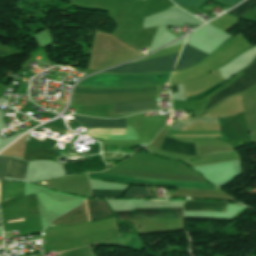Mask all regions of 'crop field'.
Returning <instances> with one entry per match:
<instances>
[{
    "instance_id": "obj_11",
    "label": "crop field",
    "mask_w": 256,
    "mask_h": 256,
    "mask_svg": "<svg viewBox=\"0 0 256 256\" xmlns=\"http://www.w3.org/2000/svg\"><path fill=\"white\" fill-rule=\"evenodd\" d=\"M225 207L226 203L220 202L187 201L184 203V210L225 211Z\"/></svg>"
},
{
    "instance_id": "obj_21",
    "label": "crop field",
    "mask_w": 256,
    "mask_h": 256,
    "mask_svg": "<svg viewBox=\"0 0 256 256\" xmlns=\"http://www.w3.org/2000/svg\"><path fill=\"white\" fill-rule=\"evenodd\" d=\"M21 218H23V217H20V218H14V219H8V220H6V221H9V220H15V219H21Z\"/></svg>"
},
{
    "instance_id": "obj_4",
    "label": "crop field",
    "mask_w": 256,
    "mask_h": 256,
    "mask_svg": "<svg viewBox=\"0 0 256 256\" xmlns=\"http://www.w3.org/2000/svg\"><path fill=\"white\" fill-rule=\"evenodd\" d=\"M8 159V157L0 156V179H4ZM27 164L26 161L10 158L5 176L24 179Z\"/></svg>"
},
{
    "instance_id": "obj_22",
    "label": "crop field",
    "mask_w": 256,
    "mask_h": 256,
    "mask_svg": "<svg viewBox=\"0 0 256 256\" xmlns=\"http://www.w3.org/2000/svg\"><path fill=\"white\" fill-rule=\"evenodd\" d=\"M19 221H22V220H19ZM11 222H16V221H11ZM7 223H10V222H7Z\"/></svg>"
},
{
    "instance_id": "obj_6",
    "label": "crop field",
    "mask_w": 256,
    "mask_h": 256,
    "mask_svg": "<svg viewBox=\"0 0 256 256\" xmlns=\"http://www.w3.org/2000/svg\"><path fill=\"white\" fill-rule=\"evenodd\" d=\"M205 56L207 54L185 44L174 69L178 70L194 65Z\"/></svg>"
},
{
    "instance_id": "obj_20",
    "label": "crop field",
    "mask_w": 256,
    "mask_h": 256,
    "mask_svg": "<svg viewBox=\"0 0 256 256\" xmlns=\"http://www.w3.org/2000/svg\"><path fill=\"white\" fill-rule=\"evenodd\" d=\"M151 193L148 188H137L133 187L131 190H129L126 197H150Z\"/></svg>"
},
{
    "instance_id": "obj_17",
    "label": "crop field",
    "mask_w": 256,
    "mask_h": 256,
    "mask_svg": "<svg viewBox=\"0 0 256 256\" xmlns=\"http://www.w3.org/2000/svg\"><path fill=\"white\" fill-rule=\"evenodd\" d=\"M172 1L177 5L198 8L204 0H172ZM216 1L232 7L242 0H216Z\"/></svg>"
},
{
    "instance_id": "obj_2",
    "label": "crop field",
    "mask_w": 256,
    "mask_h": 256,
    "mask_svg": "<svg viewBox=\"0 0 256 256\" xmlns=\"http://www.w3.org/2000/svg\"><path fill=\"white\" fill-rule=\"evenodd\" d=\"M178 55L121 65L106 72L148 73L171 70Z\"/></svg>"
},
{
    "instance_id": "obj_12",
    "label": "crop field",
    "mask_w": 256,
    "mask_h": 256,
    "mask_svg": "<svg viewBox=\"0 0 256 256\" xmlns=\"http://www.w3.org/2000/svg\"><path fill=\"white\" fill-rule=\"evenodd\" d=\"M24 183H13L1 181V199L8 200L23 195Z\"/></svg>"
},
{
    "instance_id": "obj_9",
    "label": "crop field",
    "mask_w": 256,
    "mask_h": 256,
    "mask_svg": "<svg viewBox=\"0 0 256 256\" xmlns=\"http://www.w3.org/2000/svg\"><path fill=\"white\" fill-rule=\"evenodd\" d=\"M87 202H88L91 221L95 219L103 218L105 216H108L111 213L107 205L105 204L104 200H87ZM87 202H86V208H87ZM88 208H87V213H88ZM89 213H88V219H89Z\"/></svg>"
},
{
    "instance_id": "obj_5",
    "label": "crop field",
    "mask_w": 256,
    "mask_h": 256,
    "mask_svg": "<svg viewBox=\"0 0 256 256\" xmlns=\"http://www.w3.org/2000/svg\"><path fill=\"white\" fill-rule=\"evenodd\" d=\"M158 149L194 157L195 144L180 142L164 137Z\"/></svg>"
},
{
    "instance_id": "obj_15",
    "label": "crop field",
    "mask_w": 256,
    "mask_h": 256,
    "mask_svg": "<svg viewBox=\"0 0 256 256\" xmlns=\"http://www.w3.org/2000/svg\"><path fill=\"white\" fill-rule=\"evenodd\" d=\"M88 176L102 178V179L126 181V182L157 184V180H153V179L136 178V177H128V176H120V175L103 174V173H89Z\"/></svg>"
},
{
    "instance_id": "obj_19",
    "label": "crop field",
    "mask_w": 256,
    "mask_h": 256,
    "mask_svg": "<svg viewBox=\"0 0 256 256\" xmlns=\"http://www.w3.org/2000/svg\"><path fill=\"white\" fill-rule=\"evenodd\" d=\"M125 191L92 190L91 197H120Z\"/></svg>"
},
{
    "instance_id": "obj_13",
    "label": "crop field",
    "mask_w": 256,
    "mask_h": 256,
    "mask_svg": "<svg viewBox=\"0 0 256 256\" xmlns=\"http://www.w3.org/2000/svg\"><path fill=\"white\" fill-rule=\"evenodd\" d=\"M147 91H157V86L144 87V88H131V89H112V90L89 89V88H82V87L74 88V92H78V93H129V92H147Z\"/></svg>"
},
{
    "instance_id": "obj_7",
    "label": "crop field",
    "mask_w": 256,
    "mask_h": 256,
    "mask_svg": "<svg viewBox=\"0 0 256 256\" xmlns=\"http://www.w3.org/2000/svg\"><path fill=\"white\" fill-rule=\"evenodd\" d=\"M76 122L88 128H126L124 119L120 120H94L73 116Z\"/></svg>"
},
{
    "instance_id": "obj_10",
    "label": "crop field",
    "mask_w": 256,
    "mask_h": 256,
    "mask_svg": "<svg viewBox=\"0 0 256 256\" xmlns=\"http://www.w3.org/2000/svg\"><path fill=\"white\" fill-rule=\"evenodd\" d=\"M115 113L156 108L155 100L113 104Z\"/></svg>"
},
{
    "instance_id": "obj_1",
    "label": "crop field",
    "mask_w": 256,
    "mask_h": 256,
    "mask_svg": "<svg viewBox=\"0 0 256 256\" xmlns=\"http://www.w3.org/2000/svg\"><path fill=\"white\" fill-rule=\"evenodd\" d=\"M165 83V74L151 75H116V74H100L91 79L86 80L83 85L95 87H115L130 86L143 84H160Z\"/></svg>"
},
{
    "instance_id": "obj_3",
    "label": "crop field",
    "mask_w": 256,
    "mask_h": 256,
    "mask_svg": "<svg viewBox=\"0 0 256 256\" xmlns=\"http://www.w3.org/2000/svg\"><path fill=\"white\" fill-rule=\"evenodd\" d=\"M242 72H244L245 74L239 80L224 89L218 95L210 98L205 110L220 102L224 98L246 90L256 84V60H254V62Z\"/></svg>"
},
{
    "instance_id": "obj_8",
    "label": "crop field",
    "mask_w": 256,
    "mask_h": 256,
    "mask_svg": "<svg viewBox=\"0 0 256 256\" xmlns=\"http://www.w3.org/2000/svg\"><path fill=\"white\" fill-rule=\"evenodd\" d=\"M119 219L157 221L158 216L144 215V208L128 207V210H114Z\"/></svg>"
},
{
    "instance_id": "obj_14",
    "label": "crop field",
    "mask_w": 256,
    "mask_h": 256,
    "mask_svg": "<svg viewBox=\"0 0 256 256\" xmlns=\"http://www.w3.org/2000/svg\"><path fill=\"white\" fill-rule=\"evenodd\" d=\"M158 182H159V186H171L174 188H190V189H206V190L218 189L210 186L208 183L165 181V180H158Z\"/></svg>"
},
{
    "instance_id": "obj_16",
    "label": "crop field",
    "mask_w": 256,
    "mask_h": 256,
    "mask_svg": "<svg viewBox=\"0 0 256 256\" xmlns=\"http://www.w3.org/2000/svg\"><path fill=\"white\" fill-rule=\"evenodd\" d=\"M145 214L159 215L158 219L182 218V208L145 209Z\"/></svg>"
},
{
    "instance_id": "obj_18",
    "label": "crop field",
    "mask_w": 256,
    "mask_h": 256,
    "mask_svg": "<svg viewBox=\"0 0 256 256\" xmlns=\"http://www.w3.org/2000/svg\"><path fill=\"white\" fill-rule=\"evenodd\" d=\"M254 6H256V0H247L246 2H244L241 5L233 8L232 10L228 11L227 13L239 17L242 14L249 11L250 9H252Z\"/></svg>"
}]
</instances>
